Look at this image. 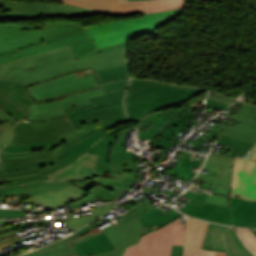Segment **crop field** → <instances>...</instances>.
I'll list each match as a JSON object with an SVG mask.
<instances>
[{
  "label": "crop field",
  "instance_id": "crop-field-26",
  "mask_svg": "<svg viewBox=\"0 0 256 256\" xmlns=\"http://www.w3.org/2000/svg\"><path fill=\"white\" fill-rule=\"evenodd\" d=\"M181 216H183V215L172 210V209H170L169 211H167L164 214L154 208V209L140 215V218H141V221L143 224L141 236L148 233L149 226H153L156 224V228L158 230L161 227L165 226L166 224L180 218Z\"/></svg>",
  "mask_w": 256,
  "mask_h": 256
},
{
  "label": "crop field",
  "instance_id": "crop-field-44",
  "mask_svg": "<svg viewBox=\"0 0 256 256\" xmlns=\"http://www.w3.org/2000/svg\"><path fill=\"white\" fill-rule=\"evenodd\" d=\"M53 140L48 142L39 143V144H31V145H23V146H6L3 151L5 152H18V151H36L43 149L50 145Z\"/></svg>",
  "mask_w": 256,
  "mask_h": 256
},
{
  "label": "crop field",
  "instance_id": "crop-field-46",
  "mask_svg": "<svg viewBox=\"0 0 256 256\" xmlns=\"http://www.w3.org/2000/svg\"><path fill=\"white\" fill-rule=\"evenodd\" d=\"M13 125L9 122H5L0 125V150L10 141L12 138Z\"/></svg>",
  "mask_w": 256,
  "mask_h": 256
},
{
  "label": "crop field",
  "instance_id": "crop-field-63",
  "mask_svg": "<svg viewBox=\"0 0 256 256\" xmlns=\"http://www.w3.org/2000/svg\"><path fill=\"white\" fill-rule=\"evenodd\" d=\"M116 225H117V224H116ZM116 225H115V226H116ZM111 227H114V226L109 225V226H107V227H105V228H103V229H101V230H99L98 227H97V228H95V230H96L98 233H100V232L105 231V230H107V229H109V228H111Z\"/></svg>",
  "mask_w": 256,
  "mask_h": 256
},
{
  "label": "crop field",
  "instance_id": "crop-field-45",
  "mask_svg": "<svg viewBox=\"0 0 256 256\" xmlns=\"http://www.w3.org/2000/svg\"><path fill=\"white\" fill-rule=\"evenodd\" d=\"M192 116L193 114L182 111L179 115L167 123L172 124L180 129H185L186 127H192V125L186 123Z\"/></svg>",
  "mask_w": 256,
  "mask_h": 256
},
{
  "label": "crop field",
  "instance_id": "crop-field-33",
  "mask_svg": "<svg viewBox=\"0 0 256 256\" xmlns=\"http://www.w3.org/2000/svg\"><path fill=\"white\" fill-rule=\"evenodd\" d=\"M91 14H103V15H110V16H127V15L106 14V13L85 9L81 7H76L72 5H66L62 3L59 13H44V17L60 16V17L74 18L78 16L91 15Z\"/></svg>",
  "mask_w": 256,
  "mask_h": 256
},
{
  "label": "crop field",
  "instance_id": "crop-field-67",
  "mask_svg": "<svg viewBox=\"0 0 256 256\" xmlns=\"http://www.w3.org/2000/svg\"><path fill=\"white\" fill-rule=\"evenodd\" d=\"M155 182V181H154ZM155 183H157V182H155ZM154 187V191H156V190H158L159 189V186H157L156 184L153 186Z\"/></svg>",
  "mask_w": 256,
  "mask_h": 256
},
{
  "label": "crop field",
  "instance_id": "crop-field-20",
  "mask_svg": "<svg viewBox=\"0 0 256 256\" xmlns=\"http://www.w3.org/2000/svg\"><path fill=\"white\" fill-rule=\"evenodd\" d=\"M208 224V222L189 217L187 224L185 256H226V253L223 252L201 250L205 234L208 229Z\"/></svg>",
  "mask_w": 256,
  "mask_h": 256
},
{
  "label": "crop field",
  "instance_id": "crop-field-15",
  "mask_svg": "<svg viewBox=\"0 0 256 256\" xmlns=\"http://www.w3.org/2000/svg\"><path fill=\"white\" fill-rule=\"evenodd\" d=\"M231 196L256 201V161L235 157Z\"/></svg>",
  "mask_w": 256,
  "mask_h": 256
},
{
  "label": "crop field",
  "instance_id": "crop-field-27",
  "mask_svg": "<svg viewBox=\"0 0 256 256\" xmlns=\"http://www.w3.org/2000/svg\"><path fill=\"white\" fill-rule=\"evenodd\" d=\"M0 6L11 11L58 12L60 5L46 2H14L0 0Z\"/></svg>",
  "mask_w": 256,
  "mask_h": 256
},
{
  "label": "crop field",
  "instance_id": "crop-field-30",
  "mask_svg": "<svg viewBox=\"0 0 256 256\" xmlns=\"http://www.w3.org/2000/svg\"><path fill=\"white\" fill-rule=\"evenodd\" d=\"M87 192H89L91 195L86 198H82L67 204L69 208L72 209L98 199H101L103 202L118 201L119 200L118 198L121 197V195L113 193L99 185L95 186L94 188L90 189Z\"/></svg>",
  "mask_w": 256,
  "mask_h": 256
},
{
  "label": "crop field",
  "instance_id": "crop-field-36",
  "mask_svg": "<svg viewBox=\"0 0 256 256\" xmlns=\"http://www.w3.org/2000/svg\"><path fill=\"white\" fill-rule=\"evenodd\" d=\"M99 83L129 78L127 65L94 71Z\"/></svg>",
  "mask_w": 256,
  "mask_h": 256
},
{
  "label": "crop field",
  "instance_id": "crop-field-57",
  "mask_svg": "<svg viewBox=\"0 0 256 256\" xmlns=\"http://www.w3.org/2000/svg\"><path fill=\"white\" fill-rule=\"evenodd\" d=\"M230 190L231 189H229V188H225V187L213 184V186H212L210 191L218 192V193H222V194H226V195H230Z\"/></svg>",
  "mask_w": 256,
  "mask_h": 256
},
{
  "label": "crop field",
  "instance_id": "crop-field-17",
  "mask_svg": "<svg viewBox=\"0 0 256 256\" xmlns=\"http://www.w3.org/2000/svg\"><path fill=\"white\" fill-rule=\"evenodd\" d=\"M63 3L90 8L113 14L148 13L145 0H59Z\"/></svg>",
  "mask_w": 256,
  "mask_h": 256
},
{
  "label": "crop field",
  "instance_id": "crop-field-22",
  "mask_svg": "<svg viewBox=\"0 0 256 256\" xmlns=\"http://www.w3.org/2000/svg\"><path fill=\"white\" fill-rule=\"evenodd\" d=\"M184 108L179 110L169 109L168 111L151 113L147 115L143 120L138 122L140 125V130L137 138L149 139L148 143L151 144L156 135L169 125L166 122L175 117Z\"/></svg>",
  "mask_w": 256,
  "mask_h": 256
},
{
  "label": "crop field",
  "instance_id": "crop-field-25",
  "mask_svg": "<svg viewBox=\"0 0 256 256\" xmlns=\"http://www.w3.org/2000/svg\"><path fill=\"white\" fill-rule=\"evenodd\" d=\"M234 225L256 227V203L231 197Z\"/></svg>",
  "mask_w": 256,
  "mask_h": 256
},
{
  "label": "crop field",
  "instance_id": "crop-field-31",
  "mask_svg": "<svg viewBox=\"0 0 256 256\" xmlns=\"http://www.w3.org/2000/svg\"><path fill=\"white\" fill-rule=\"evenodd\" d=\"M72 184L71 182H33L22 187L25 190L27 198L38 196L45 192L52 190L53 192L62 189L68 185Z\"/></svg>",
  "mask_w": 256,
  "mask_h": 256
},
{
  "label": "crop field",
  "instance_id": "crop-field-4",
  "mask_svg": "<svg viewBox=\"0 0 256 256\" xmlns=\"http://www.w3.org/2000/svg\"><path fill=\"white\" fill-rule=\"evenodd\" d=\"M142 225L139 217L130 219L108 231H96L77 240L65 243L44 252L36 250L24 256H87L113 249L128 247L139 242Z\"/></svg>",
  "mask_w": 256,
  "mask_h": 256
},
{
  "label": "crop field",
  "instance_id": "crop-field-66",
  "mask_svg": "<svg viewBox=\"0 0 256 256\" xmlns=\"http://www.w3.org/2000/svg\"><path fill=\"white\" fill-rule=\"evenodd\" d=\"M141 190L144 191V192H146V193H148V194L151 193L150 191L146 190L145 187H142Z\"/></svg>",
  "mask_w": 256,
  "mask_h": 256
},
{
  "label": "crop field",
  "instance_id": "crop-field-61",
  "mask_svg": "<svg viewBox=\"0 0 256 256\" xmlns=\"http://www.w3.org/2000/svg\"><path fill=\"white\" fill-rule=\"evenodd\" d=\"M93 182H95V183H97L99 185H102V186H104V187H106V188H108L110 190H111V188H112V186L114 184L112 182L101 181V180H96V179H93Z\"/></svg>",
  "mask_w": 256,
  "mask_h": 256
},
{
  "label": "crop field",
  "instance_id": "crop-field-9",
  "mask_svg": "<svg viewBox=\"0 0 256 256\" xmlns=\"http://www.w3.org/2000/svg\"><path fill=\"white\" fill-rule=\"evenodd\" d=\"M73 130L76 127L67 115L48 122H29L23 119L16 124L14 138L8 145L44 142Z\"/></svg>",
  "mask_w": 256,
  "mask_h": 256
},
{
  "label": "crop field",
  "instance_id": "crop-field-14",
  "mask_svg": "<svg viewBox=\"0 0 256 256\" xmlns=\"http://www.w3.org/2000/svg\"><path fill=\"white\" fill-rule=\"evenodd\" d=\"M137 130L138 127L130 128ZM129 129L119 132L116 145L111 146L109 159L101 158L99 156L94 171L97 176L107 173L111 170L125 169L129 171H135L132 163L138 162L136 155L129 150L124 149L125 139L128 136ZM113 160V162H111Z\"/></svg>",
  "mask_w": 256,
  "mask_h": 256
},
{
  "label": "crop field",
  "instance_id": "crop-field-43",
  "mask_svg": "<svg viewBox=\"0 0 256 256\" xmlns=\"http://www.w3.org/2000/svg\"><path fill=\"white\" fill-rule=\"evenodd\" d=\"M92 231H94V229L92 228V226H91V224H90V225H88V226L82 228L81 230H79V231L73 233L72 235H70V236L67 237V238H64V239L59 240V241H57V242H55V243H53V244H50V245H47V246L41 248V251L47 250V249H49V248L55 247V246H57V245L63 244V243H65V242H68V241H71V240H74V239H77V238H79L80 236L86 235V234H88V233H90V232H92Z\"/></svg>",
  "mask_w": 256,
  "mask_h": 256
},
{
  "label": "crop field",
  "instance_id": "crop-field-38",
  "mask_svg": "<svg viewBox=\"0 0 256 256\" xmlns=\"http://www.w3.org/2000/svg\"><path fill=\"white\" fill-rule=\"evenodd\" d=\"M217 143L233 147L230 155L239 157H243L254 146V144L246 143L222 135H220V137L218 138ZM234 153H237V155H235Z\"/></svg>",
  "mask_w": 256,
  "mask_h": 256
},
{
  "label": "crop field",
  "instance_id": "crop-field-8",
  "mask_svg": "<svg viewBox=\"0 0 256 256\" xmlns=\"http://www.w3.org/2000/svg\"><path fill=\"white\" fill-rule=\"evenodd\" d=\"M185 225L177 220L171 225L144 236L127 249L124 256H170L172 245H184Z\"/></svg>",
  "mask_w": 256,
  "mask_h": 256
},
{
  "label": "crop field",
  "instance_id": "crop-field-65",
  "mask_svg": "<svg viewBox=\"0 0 256 256\" xmlns=\"http://www.w3.org/2000/svg\"><path fill=\"white\" fill-rule=\"evenodd\" d=\"M101 219H99V220H97V221H95V222H93V223H91L92 224V226H93V228L94 227H96V226H98V225H100V224H102V223H104V222H102V223H100L99 224V222L98 221H100Z\"/></svg>",
  "mask_w": 256,
  "mask_h": 256
},
{
  "label": "crop field",
  "instance_id": "crop-field-29",
  "mask_svg": "<svg viewBox=\"0 0 256 256\" xmlns=\"http://www.w3.org/2000/svg\"><path fill=\"white\" fill-rule=\"evenodd\" d=\"M232 168L233 167L229 166L205 163L203 169L215 171L217 172V174L215 177H213L208 174L199 173L197 179L206 180L215 184L231 188Z\"/></svg>",
  "mask_w": 256,
  "mask_h": 256
},
{
  "label": "crop field",
  "instance_id": "crop-field-64",
  "mask_svg": "<svg viewBox=\"0 0 256 256\" xmlns=\"http://www.w3.org/2000/svg\"><path fill=\"white\" fill-rule=\"evenodd\" d=\"M96 179H101V180H107V181H113V182H116V179H110V178L97 177Z\"/></svg>",
  "mask_w": 256,
  "mask_h": 256
},
{
  "label": "crop field",
  "instance_id": "crop-field-5",
  "mask_svg": "<svg viewBox=\"0 0 256 256\" xmlns=\"http://www.w3.org/2000/svg\"><path fill=\"white\" fill-rule=\"evenodd\" d=\"M180 10L176 9L156 14H145L141 18L95 25L86 29L99 49L151 32L177 15Z\"/></svg>",
  "mask_w": 256,
  "mask_h": 256
},
{
  "label": "crop field",
  "instance_id": "crop-field-1",
  "mask_svg": "<svg viewBox=\"0 0 256 256\" xmlns=\"http://www.w3.org/2000/svg\"><path fill=\"white\" fill-rule=\"evenodd\" d=\"M110 146L95 127L64 141L44 155L1 161L0 171L5 172L0 173V186L49 180L47 174L68 165L86 151L108 158Z\"/></svg>",
  "mask_w": 256,
  "mask_h": 256
},
{
  "label": "crop field",
  "instance_id": "crop-field-13",
  "mask_svg": "<svg viewBox=\"0 0 256 256\" xmlns=\"http://www.w3.org/2000/svg\"><path fill=\"white\" fill-rule=\"evenodd\" d=\"M202 249L227 252V256H253L232 227L210 224Z\"/></svg>",
  "mask_w": 256,
  "mask_h": 256
},
{
  "label": "crop field",
  "instance_id": "crop-field-34",
  "mask_svg": "<svg viewBox=\"0 0 256 256\" xmlns=\"http://www.w3.org/2000/svg\"><path fill=\"white\" fill-rule=\"evenodd\" d=\"M118 205H120V204L101 205L99 207H96V208L92 209L93 213L95 214L93 216H89V217L82 218V219H66L64 221L67 224V226L74 232L75 230L79 229L80 227H82V226L94 221L95 219L101 217L102 215L107 213L109 210H111L112 208H114Z\"/></svg>",
  "mask_w": 256,
  "mask_h": 256
},
{
  "label": "crop field",
  "instance_id": "crop-field-12",
  "mask_svg": "<svg viewBox=\"0 0 256 256\" xmlns=\"http://www.w3.org/2000/svg\"><path fill=\"white\" fill-rule=\"evenodd\" d=\"M74 124L81 125L96 121L100 131L129 122L124 112L123 103L93 109L92 107L68 113Z\"/></svg>",
  "mask_w": 256,
  "mask_h": 256
},
{
  "label": "crop field",
  "instance_id": "crop-field-68",
  "mask_svg": "<svg viewBox=\"0 0 256 256\" xmlns=\"http://www.w3.org/2000/svg\"><path fill=\"white\" fill-rule=\"evenodd\" d=\"M252 232L256 235V230H253Z\"/></svg>",
  "mask_w": 256,
  "mask_h": 256
},
{
  "label": "crop field",
  "instance_id": "crop-field-2",
  "mask_svg": "<svg viewBox=\"0 0 256 256\" xmlns=\"http://www.w3.org/2000/svg\"><path fill=\"white\" fill-rule=\"evenodd\" d=\"M89 38L80 23L0 24V64Z\"/></svg>",
  "mask_w": 256,
  "mask_h": 256
},
{
  "label": "crop field",
  "instance_id": "crop-field-11",
  "mask_svg": "<svg viewBox=\"0 0 256 256\" xmlns=\"http://www.w3.org/2000/svg\"><path fill=\"white\" fill-rule=\"evenodd\" d=\"M102 89L88 91L63 97L62 100L49 103H36L29 106L30 115L26 117L29 121H48L66 115L64 109L88 104L89 99L103 97Z\"/></svg>",
  "mask_w": 256,
  "mask_h": 256
},
{
  "label": "crop field",
  "instance_id": "crop-field-23",
  "mask_svg": "<svg viewBox=\"0 0 256 256\" xmlns=\"http://www.w3.org/2000/svg\"><path fill=\"white\" fill-rule=\"evenodd\" d=\"M183 212L198 218L231 225L230 208L204 203L203 207L188 203L181 209Z\"/></svg>",
  "mask_w": 256,
  "mask_h": 256
},
{
  "label": "crop field",
  "instance_id": "crop-field-32",
  "mask_svg": "<svg viewBox=\"0 0 256 256\" xmlns=\"http://www.w3.org/2000/svg\"><path fill=\"white\" fill-rule=\"evenodd\" d=\"M181 132L185 134V130H180L172 125H169L152 143V147L169 149L174 142L181 144L183 141L176 139V135Z\"/></svg>",
  "mask_w": 256,
  "mask_h": 256
},
{
  "label": "crop field",
  "instance_id": "crop-field-10",
  "mask_svg": "<svg viewBox=\"0 0 256 256\" xmlns=\"http://www.w3.org/2000/svg\"><path fill=\"white\" fill-rule=\"evenodd\" d=\"M97 85L99 84L94 74L77 78L75 73H71L36 86L28 87V90L34 100L39 101L94 88Z\"/></svg>",
  "mask_w": 256,
  "mask_h": 256
},
{
  "label": "crop field",
  "instance_id": "crop-field-50",
  "mask_svg": "<svg viewBox=\"0 0 256 256\" xmlns=\"http://www.w3.org/2000/svg\"><path fill=\"white\" fill-rule=\"evenodd\" d=\"M194 156H195L194 153L187 152V154L183 160L182 167L191 168L192 166H199L200 162L191 160V158H194Z\"/></svg>",
  "mask_w": 256,
  "mask_h": 256
},
{
  "label": "crop field",
  "instance_id": "crop-field-3",
  "mask_svg": "<svg viewBox=\"0 0 256 256\" xmlns=\"http://www.w3.org/2000/svg\"><path fill=\"white\" fill-rule=\"evenodd\" d=\"M203 91L205 90L132 79L124 102L126 113L130 120L138 122L148 113L160 111L161 108L172 104L186 102Z\"/></svg>",
  "mask_w": 256,
  "mask_h": 256
},
{
  "label": "crop field",
  "instance_id": "crop-field-52",
  "mask_svg": "<svg viewBox=\"0 0 256 256\" xmlns=\"http://www.w3.org/2000/svg\"><path fill=\"white\" fill-rule=\"evenodd\" d=\"M15 233L16 232L13 225L0 227V239L3 237L11 236Z\"/></svg>",
  "mask_w": 256,
  "mask_h": 256
},
{
  "label": "crop field",
  "instance_id": "crop-field-39",
  "mask_svg": "<svg viewBox=\"0 0 256 256\" xmlns=\"http://www.w3.org/2000/svg\"><path fill=\"white\" fill-rule=\"evenodd\" d=\"M149 13L161 12L183 6V0H146Z\"/></svg>",
  "mask_w": 256,
  "mask_h": 256
},
{
  "label": "crop field",
  "instance_id": "crop-field-47",
  "mask_svg": "<svg viewBox=\"0 0 256 256\" xmlns=\"http://www.w3.org/2000/svg\"><path fill=\"white\" fill-rule=\"evenodd\" d=\"M121 128H123V127L115 128V129H112L110 131L101 132L103 139H105L106 141H108L111 144H115L117 136H118L119 129H121Z\"/></svg>",
  "mask_w": 256,
  "mask_h": 256
},
{
  "label": "crop field",
  "instance_id": "crop-field-16",
  "mask_svg": "<svg viewBox=\"0 0 256 256\" xmlns=\"http://www.w3.org/2000/svg\"><path fill=\"white\" fill-rule=\"evenodd\" d=\"M28 103H33L24 85L0 80V106L15 120L28 114Z\"/></svg>",
  "mask_w": 256,
  "mask_h": 256
},
{
  "label": "crop field",
  "instance_id": "crop-field-41",
  "mask_svg": "<svg viewBox=\"0 0 256 256\" xmlns=\"http://www.w3.org/2000/svg\"><path fill=\"white\" fill-rule=\"evenodd\" d=\"M138 175V174H137ZM136 174L127 171H114L110 172L102 177H110V178H117L116 184H120L131 188L136 181H141V179L135 178Z\"/></svg>",
  "mask_w": 256,
  "mask_h": 256
},
{
  "label": "crop field",
  "instance_id": "crop-field-48",
  "mask_svg": "<svg viewBox=\"0 0 256 256\" xmlns=\"http://www.w3.org/2000/svg\"><path fill=\"white\" fill-rule=\"evenodd\" d=\"M26 216L24 210H1L0 209V218H15Z\"/></svg>",
  "mask_w": 256,
  "mask_h": 256
},
{
  "label": "crop field",
  "instance_id": "crop-field-59",
  "mask_svg": "<svg viewBox=\"0 0 256 256\" xmlns=\"http://www.w3.org/2000/svg\"><path fill=\"white\" fill-rule=\"evenodd\" d=\"M128 190V188H125L123 186H120V185H114L113 188H112V191L116 192V193H119L121 195H125L124 193Z\"/></svg>",
  "mask_w": 256,
  "mask_h": 256
},
{
  "label": "crop field",
  "instance_id": "crop-field-40",
  "mask_svg": "<svg viewBox=\"0 0 256 256\" xmlns=\"http://www.w3.org/2000/svg\"><path fill=\"white\" fill-rule=\"evenodd\" d=\"M43 18V13L11 12L0 8V20H31Z\"/></svg>",
  "mask_w": 256,
  "mask_h": 256
},
{
  "label": "crop field",
  "instance_id": "crop-field-6",
  "mask_svg": "<svg viewBox=\"0 0 256 256\" xmlns=\"http://www.w3.org/2000/svg\"><path fill=\"white\" fill-rule=\"evenodd\" d=\"M125 57L126 47L93 56H88L78 60L60 63L54 66L47 67L39 72H36L32 75L25 77L24 85L28 86L34 83L50 79L52 77H55L66 72L86 69L90 67H93L94 70H97L124 65L127 64Z\"/></svg>",
  "mask_w": 256,
  "mask_h": 256
},
{
  "label": "crop field",
  "instance_id": "crop-field-70",
  "mask_svg": "<svg viewBox=\"0 0 256 256\" xmlns=\"http://www.w3.org/2000/svg\"><path fill=\"white\" fill-rule=\"evenodd\" d=\"M77 256V255H76Z\"/></svg>",
  "mask_w": 256,
  "mask_h": 256
},
{
  "label": "crop field",
  "instance_id": "crop-field-42",
  "mask_svg": "<svg viewBox=\"0 0 256 256\" xmlns=\"http://www.w3.org/2000/svg\"><path fill=\"white\" fill-rule=\"evenodd\" d=\"M243 243L256 255V237L248 229L235 228Z\"/></svg>",
  "mask_w": 256,
  "mask_h": 256
},
{
  "label": "crop field",
  "instance_id": "crop-field-55",
  "mask_svg": "<svg viewBox=\"0 0 256 256\" xmlns=\"http://www.w3.org/2000/svg\"><path fill=\"white\" fill-rule=\"evenodd\" d=\"M1 70H2V67H0V71ZM0 121H1V123L5 122V121H9L12 124H14L16 122L1 107H0Z\"/></svg>",
  "mask_w": 256,
  "mask_h": 256
},
{
  "label": "crop field",
  "instance_id": "crop-field-28",
  "mask_svg": "<svg viewBox=\"0 0 256 256\" xmlns=\"http://www.w3.org/2000/svg\"><path fill=\"white\" fill-rule=\"evenodd\" d=\"M96 122L94 123H90V124H86V125H82V126H78L76 131L70 132L68 134L59 136L57 138H54V143L51 144L50 146H48L47 148L40 150V151H36V152H18V153H5L3 151H1L0 153V160H5V159H15V158H21V157H28V156H35V155H40L43 154L53 148H55L57 145H59L62 141L82 132L85 131L87 129H90L92 127H95ZM58 147V146H57Z\"/></svg>",
  "mask_w": 256,
  "mask_h": 256
},
{
  "label": "crop field",
  "instance_id": "crop-field-69",
  "mask_svg": "<svg viewBox=\"0 0 256 256\" xmlns=\"http://www.w3.org/2000/svg\"><path fill=\"white\" fill-rule=\"evenodd\" d=\"M253 118H254V117H253ZM255 118H256V116H255ZM255 118H254V119H255ZM255 120H256V119H255Z\"/></svg>",
  "mask_w": 256,
  "mask_h": 256
},
{
  "label": "crop field",
  "instance_id": "crop-field-49",
  "mask_svg": "<svg viewBox=\"0 0 256 256\" xmlns=\"http://www.w3.org/2000/svg\"><path fill=\"white\" fill-rule=\"evenodd\" d=\"M19 240H21V239L17 234H15L11 237L3 238L0 240V249L3 250Z\"/></svg>",
  "mask_w": 256,
  "mask_h": 256
},
{
  "label": "crop field",
  "instance_id": "crop-field-37",
  "mask_svg": "<svg viewBox=\"0 0 256 256\" xmlns=\"http://www.w3.org/2000/svg\"><path fill=\"white\" fill-rule=\"evenodd\" d=\"M141 197H143L145 200H143L141 202H139V201H137L136 199H133V198L129 200V202H131L132 204H134L136 206L135 208L131 209L134 212L130 213V212L127 211V213L121 215V217L123 219L117 221L116 222L117 224H120V223H122V222H124V221H126V220H128L130 218H133V217H135L137 215H140V214H142V213H144V212L154 208L151 205L153 204V201H155V200H152V199L148 198L145 195H143ZM117 218L118 217H116L115 219H117ZM115 219H113V220H115Z\"/></svg>",
  "mask_w": 256,
  "mask_h": 256
},
{
  "label": "crop field",
  "instance_id": "crop-field-35",
  "mask_svg": "<svg viewBox=\"0 0 256 256\" xmlns=\"http://www.w3.org/2000/svg\"><path fill=\"white\" fill-rule=\"evenodd\" d=\"M124 46H126V42L97 50L91 39L83 41V42L71 44V47H72L73 51L75 52L77 59L84 57V56H88V55H92V54H96V53H100V52H105V51H108L111 49L124 47Z\"/></svg>",
  "mask_w": 256,
  "mask_h": 256
},
{
  "label": "crop field",
  "instance_id": "crop-field-7",
  "mask_svg": "<svg viewBox=\"0 0 256 256\" xmlns=\"http://www.w3.org/2000/svg\"><path fill=\"white\" fill-rule=\"evenodd\" d=\"M76 59L70 45L3 64L1 80L23 83V77L47 66Z\"/></svg>",
  "mask_w": 256,
  "mask_h": 256
},
{
  "label": "crop field",
  "instance_id": "crop-field-19",
  "mask_svg": "<svg viewBox=\"0 0 256 256\" xmlns=\"http://www.w3.org/2000/svg\"><path fill=\"white\" fill-rule=\"evenodd\" d=\"M98 155L86 152L70 165L49 174L51 180H84L96 175L93 172Z\"/></svg>",
  "mask_w": 256,
  "mask_h": 256
},
{
  "label": "crop field",
  "instance_id": "crop-field-62",
  "mask_svg": "<svg viewBox=\"0 0 256 256\" xmlns=\"http://www.w3.org/2000/svg\"><path fill=\"white\" fill-rule=\"evenodd\" d=\"M244 158L256 159V145L244 156Z\"/></svg>",
  "mask_w": 256,
  "mask_h": 256
},
{
  "label": "crop field",
  "instance_id": "crop-field-56",
  "mask_svg": "<svg viewBox=\"0 0 256 256\" xmlns=\"http://www.w3.org/2000/svg\"><path fill=\"white\" fill-rule=\"evenodd\" d=\"M126 248L119 249V250H113L110 252L102 253V254H96V255H91V256H122L123 253L125 252Z\"/></svg>",
  "mask_w": 256,
  "mask_h": 256
},
{
  "label": "crop field",
  "instance_id": "crop-field-21",
  "mask_svg": "<svg viewBox=\"0 0 256 256\" xmlns=\"http://www.w3.org/2000/svg\"><path fill=\"white\" fill-rule=\"evenodd\" d=\"M87 195H89L87 192L72 184L55 193L50 191L38 197L30 198L29 201L31 204H44V208L52 210Z\"/></svg>",
  "mask_w": 256,
  "mask_h": 256
},
{
  "label": "crop field",
  "instance_id": "crop-field-18",
  "mask_svg": "<svg viewBox=\"0 0 256 256\" xmlns=\"http://www.w3.org/2000/svg\"><path fill=\"white\" fill-rule=\"evenodd\" d=\"M255 115L256 106L244 102L232 119L242 124H236L235 127L228 126L222 135L256 144V121L252 120Z\"/></svg>",
  "mask_w": 256,
  "mask_h": 256
},
{
  "label": "crop field",
  "instance_id": "crop-field-54",
  "mask_svg": "<svg viewBox=\"0 0 256 256\" xmlns=\"http://www.w3.org/2000/svg\"><path fill=\"white\" fill-rule=\"evenodd\" d=\"M3 195L7 196V195H25V194L22 188H18V189L0 191V196H3Z\"/></svg>",
  "mask_w": 256,
  "mask_h": 256
},
{
  "label": "crop field",
  "instance_id": "crop-field-58",
  "mask_svg": "<svg viewBox=\"0 0 256 256\" xmlns=\"http://www.w3.org/2000/svg\"><path fill=\"white\" fill-rule=\"evenodd\" d=\"M184 246H173L171 256H182Z\"/></svg>",
  "mask_w": 256,
  "mask_h": 256
},
{
  "label": "crop field",
  "instance_id": "crop-field-51",
  "mask_svg": "<svg viewBox=\"0 0 256 256\" xmlns=\"http://www.w3.org/2000/svg\"><path fill=\"white\" fill-rule=\"evenodd\" d=\"M195 175L196 172L192 173V169L181 168V180L190 182Z\"/></svg>",
  "mask_w": 256,
  "mask_h": 256
},
{
  "label": "crop field",
  "instance_id": "crop-field-60",
  "mask_svg": "<svg viewBox=\"0 0 256 256\" xmlns=\"http://www.w3.org/2000/svg\"><path fill=\"white\" fill-rule=\"evenodd\" d=\"M207 104L211 105V106H214V107H217V108L222 109V110L225 109L226 107H228V105L221 104V103L209 100V99L207 100Z\"/></svg>",
  "mask_w": 256,
  "mask_h": 256
},
{
  "label": "crop field",
  "instance_id": "crop-field-53",
  "mask_svg": "<svg viewBox=\"0 0 256 256\" xmlns=\"http://www.w3.org/2000/svg\"><path fill=\"white\" fill-rule=\"evenodd\" d=\"M92 179L84 180V181H77V182H72V183L87 191V190H89L90 188H92L96 185V184L91 182Z\"/></svg>",
  "mask_w": 256,
  "mask_h": 256
},
{
  "label": "crop field",
  "instance_id": "crop-field-24",
  "mask_svg": "<svg viewBox=\"0 0 256 256\" xmlns=\"http://www.w3.org/2000/svg\"><path fill=\"white\" fill-rule=\"evenodd\" d=\"M128 82L129 80H122V81L103 84L101 85V87L103 88V91L106 97L90 100L91 104L89 105L66 109V111L68 112V111L86 108L90 106H93L94 108H96L100 106L122 102V99L124 98V89L126 88Z\"/></svg>",
  "mask_w": 256,
  "mask_h": 256
}]
</instances>
